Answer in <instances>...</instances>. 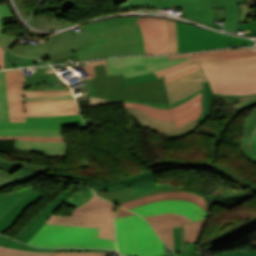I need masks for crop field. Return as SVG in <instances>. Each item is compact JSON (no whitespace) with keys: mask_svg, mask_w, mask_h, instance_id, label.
<instances>
[{"mask_svg":"<svg viewBox=\"0 0 256 256\" xmlns=\"http://www.w3.org/2000/svg\"><path fill=\"white\" fill-rule=\"evenodd\" d=\"M100 41L87 51L52 60L50 64L109 57L122 54H145L144 39L137 17L113 18L79 26Z\"/></svg>","mask_w":256,"mask_h":256,"instance_id":"obj_1","label":"crop field"},{"mask_svg":"<svg viewBox=\"0 0 256 256\" xmlns=\"http://www.w3.org/2000/svg\"><path fill=\"white\" fill-rule=\"evenodd\" d=\"M5 76L10 122H25V116L79 114L74 99L36 102L23 100V97L29 96L68 95L72 94L70 90L23 92L22 84L25 83L22 69L5 71Z\"/></svg>","mask_w":256,"mask_h":256,"instance_id":"obj_2","label":"crop field"},{"mask_svg":"<svg viewBox=\"0 0 256 256\" xmlns=\"http://www.w3.org/2000/svg\"><path fill=\"white\" fill-rule=\"evenodd\" d=\"M119 252L131 256H158L164 254V244L151 226L140 216L119 218L115 221Z\"/></svg>","mask_w":256,"mask_h":256,"instance_id":"obj_3","label":"crop field"},{"mask_svg":"<svg viewBox=\"0 0 256 256\" xmlns=\"http://www.w3.org/2000/svg\"><path fill=\"white\" fill-rule=\"evenodd\" d=\"M99 229L46 225L28 240V244L42 247L75 246L113 248L115 241L96 238Z\"/></svg>","mask_w":256,"mask_h":256,"instance_id":"obj_4","label":"crop field"},{"mask_svg":"<svg viewBox=\"0 0 256 256\" xmlns=\"http://www.w3.org/2000/svg\"><path fill=\"white\" fill-rule=\"evenodd\" d=\"M111 204L93 195L82 207L75 208L71 216L51 215L45 223L100 228L97 237L115 240Z\"/></svg>","mask_w":256,"mask_h":256,"instance_id":"obj_5","label":"crop field"},{"mask_svg":"<svg viewBox=\"0 0 256 256\" xmlns=\"http://www.w3.org/2000/svg\"><path fill=\"white\" fill-rule=\"evenodd\" d=\"M256 51V48H252ZM211 84L212 93L250 94L256 93V66L227 68L212 64H201Z\"/></svg>","mask_w":256,"mask_h":256,"instance_id":"obj_6","label":"crop field"},{"mask_svg":"<svg viewBox=\"0 0 256 256\" xmlns=\"http://www.w3.org/2000/svg\"><path fill=\"white\" fill-rule=\"evenodd\" d=\"M99 40L84 32L73 36L68 31L53 36L44 44L14 47L11 52L41 60H50L71 53L87 50Z\"/></svg>","mask_w":256,"mask_h":256,"instance_id":"obj_7","label":"crop field"},{"mask_svg":"<svg viewBox=\"0 0 256 256\" xmlns=\"http://www.w3.org/2000/svg\"><path fill=\"white\" fill-rule=\"evenodd\" d=\"M176 27L178 53L253 44L247 39L210 32L177 21Z\"/></svg>","mask_w":256,"mask_h":256,"instance_id":"obj_8","label":"crop field"},{"mask_svg":"<svg viewBox=\"0 0 256 256\" xmlns=\"http://www.w3.org/2000/svg\"><path fill=\"white\" fill-rule=\"evenodd\" d=\"M90 64L82 66L79 63L89 76L84 78L88 84L79 86L82 92L79 95H75L76 99L86 100L91 96L109 100L124 86L123 74L107 76L104 60L92 61Z\"/></svg>","mask_w":256,"mask_h":256,"instance_id":"obj_9","label":"crop field"},{"mask_svg":"<svg viewBox=\"0 0 256 256\" xmlns=\"http://www.w3.org/2000/svg\"><path fill=\"white\" fill-rule=\"evenodd\" d=\"M189 58V54L160 57H123L105 60L108 75L124 73L125 78L167 68Z\"/></svg>","mask_w":256,"mask_h":256,"instance_id":"obj_10","label":"crop field"},{"mask_svg":"<svg viewBox=\"0 0 256 256\" xmlns=\"http://www.w3.org/2000/svg\"><path fill=\"white\" fill-rule=\"evenodd\" d=\"M123 99L169 104L163 77L148 82L128 84L105 103V105L124 101Z\"/></svg>","mask_w":256,"mask_h":256,"instance_id":"obj_11","label":"crop field"},{"mask_svg":"<svg viewBox=\"0 0 256 256\" xmlns=\"http://www.w3.org/2000/svg\"><path fill=\"white\" fill-rule=\"evenodd\" d=\"M244 0H174L172 8H184V17L212 25V7L226 8L242 4Z\"/></svg>","mask_w":256,"mask_h":256,"instance_id":"obj_12","label":"crop field"},{"mask_svg":"<svg viewBox=\"0 0 256 256\" xmlns=\"http://www.w3.org/2000/svg\"><path fill=\"white\" fill-rule=\"evenodd\" d=\"M129 210L140 214L143 217L162 214L166 212H174L177 214L185 215L193 221L203 219L208 216V213L200 208L198 205L186 200H165L142 205Z\"/></svg>","mask_w":256,"mask_h":256,"instance_id":"obj_13","label":"crop field"},{"mask_svg":"<svg viewBox=\"0 0 256 256\" xmlns=\"http://www.w3.org/2000/svg\"><path fill=\"white\" fill-rule=\"evenodd\" d=\"M74 181V180H73ZM108 183H96V182H83L76 181L84 184L90 185L94 189L100 191H115L131 186L136 194L148 192L154 189L172 187L170 185H158L153 173L149 170L142 174L136 175L131 178H125L122 180L112 181L109 180ZM99 184V186H97Z\"/></svg>","mask_w":256,"mask_h":256,"instance_id":"obj_14","label":"crop field"},{"mask_svg":"<svg viewBox=\"0 0 256 256\" xmlns=\"http://www.w3.org/2000/svg\"><path fill=\"white\" fill-rule=\"evenodd\" d=\"M145 39L146 54L165 53L166 28L163 18L138 17Z\"/></svg>","mask_w":256,"mask_h":256,"instance_id":"obj_15","label":"crop field"},{"mask_svg":"<svg viewBox=\"0 0 256 256\" xmlns=\"http://www.w3.org/2000/svg\"><path fill=\"white\" fill-rule=\"evenodd\" d=\"M203 81L207 80L202 70H198L166 84L170 102L177 101L202 89Z\"/></svg>","mask_w":256,"mask_h":256,"instance_id":"obj_16","label":"crop field"},{"mask_svg":"<svg viewBox=\"0 0 256 256\" xmlns=\"http://www.w3.org/2000/svg\"><path fill=\"white\" fill-rule=\"evenodd\" d=\"M84 125L79 115L26 117V123H0V127L63 128Z\"/></svg>","mask_w":256,"mask_h":256,"instance_id":"obj_17","label":"crop field"},{"mask_svg":"<svg viewBox=\"0 0 256 256\" xmlns=\"http://www.w3.org/2000/svg\"><path fill=\"white\" fill-rule=\"evenodd\" d=\"M154 227L157 234L167 243V245L173 250V235L172 227L192 222L185 216L177 215L174 213H167L157 216H151L145 218Z\"/></svg>","mask_w":256,"mask_h":256,"instance_id":"obj_18","label":"crop field"},{"mask_svg":"<svg viewBox=\"0 0 256 256\" xmlns=\"http://www.w3.org/2000/svg\"><path fill=\"white\" fill-rule=\"evenodd\" d=\"M125 110L136 116L143 125L147 126L155 132H159L162 134H180L190 130L197 124L192 120L189 123L181 126L180 128L175 129L173 122L161 121L159 119L152 118L134 108H125Z\"/></svg>","mask_w":256,"mask_h":256,"instance_id":"obj_19","label":"crop field"},{"mask_svg":"<svg viewBox=\"0 0 256 256\" xmlns=\"http://www.w3.org/2000/svg\"><path fill=\"white\" fill-rule=\"evenodd\" d=\"M72 193L63 191L51 204L41 211L15 238L17 240L27 242L33 234L39 230L45 220L55 211Z\"/></svg>","mask_w":256,"mask_h":256,"instance_id":"obj_20","label":"crop field"},{"mask_svg":"<svg viewBox=\"0 0 256 256\" xmlns=\"http://www.w3.org/2000/svg\"><path fill=\"white\" fill-rule=\"evenodd\" d=\"M164 199H187V200H190V201L198 204L200 207H202L204 210H206L204 198L195 193H191V192H187V191L163 192L160 194H153V195L145 196L138 200H134V201L127 202L124 204H120V205L129 209V208H132L135 206H139V205L146 204V203H151L154 201L164 200Z\"/></svg>","mask_w":256,"mask_h":256,"instance_id":"obj_21","label":"crop field"},{"mask_svg":"<svg viewBox=\"0 0 256 256\" xmlns=\"http://www.w3.org/2000/svg\"><path fill=\"white\" fill-rule=\"evenodd\" d=\"M201 96L202 93L172 109L176 128L192 119L196 120L201 115Z\"/></svg>","mask_w":256,"mask_h":256,"instance_id":"obj_22","label":"crop field"},{"mask_svg":"<svg viewBox=\"0 0 256 256\" xmlns=\"http://www.w3.org/2000/svg\"><path fill=\"white\" fill-rule=\"evenodd\" d=\"M14 147L24 150L44 151L49 156H66L68 151L67 142H28L16 140Z\"/></svg>","mask_w":256,"mask_h":256,"instance_id":"obj_23","label":"crop field"},{"mask_svg":"<svg viewBox=\"0 0 256 256\" xmlns=\"http://www.w3.org/2000/svg\"><path fill=\"white\" fill-rule=\"evenodd\" d=\"M42 197L43 195L38 194L34 191L26 196L19 204H17L9 213H7L0 220V233L8 230L26 208H28L32 203L40 200Z\"/></svg>","mask_w":256,"mask_h":256,"instance_id":"obj_24","label":"crop field"},{"mask_svg":"<svg viewBox=\"0 0 256 256\" xmlns=\"http://www.w3.org/2000/svg\"><path fill=\"white\" fill-rule=\"evenodd\" d=\"M184 188H186V187L161 189V190H155V191H151L148 193L136 195L130 187V188L115 191V192H100V191L98 192V191H96L95 194H97L113 203L119 204V203L131 201L134 199H138L142 196L149 195L152 193H159V192H163V191H178V190H184Z\"/></svg>","mask_w":256,"mask_h":256,"instance_id":"obj_25","label":"crop field"},{"mask_svg":"<svg viewBox=\"0 0 256 256\" xmlns=\"http://www.w3.org/2000/svg\"><path fill=\"white\" fill-rule=\"evenodd\" d=\"M0 136H50V137H62V129L0 128Z\"/></svg>","mask_w":256,"mask_h":256,"instance_id":"obj_26","label":"crop field"},{"mask_svg":"<svg viewBox=\"0 0 256 256\" xmlns=\"http://www.w3.org/2000/svg\"><path fill=\"white\" fill-rule=\"evenodd\" d=\"M256 125V109L247 117L244 130L243 137L241 141V149L245 157L253 162H256V153L250 149L249 147V139L252 134V131Z\"/></svg>","mask_w":256,"mask_h":256,"instance_id":"obj_27","label":"crop field"},{"mask_svg":"<svg viewBox=\"0 0 256 256\" xmlns=\"http://www.w3.org/2000/svg\"><path fill=\"white\" fill-rule=\"evenodd\" d=\"M172 0H129L120 11L139 9H171Z\"/></svg>","mask_w":256,"mask_h":256,"instance_id":"obj_28","label":"crop field"},{"mask_svg":"<svg viewBox=\"0 0 256 256\" xmlns=\"http://www.w3.org/2000/svg\"><path fill=\"white\" fill-rule=\"evenodd\" d=\"M249 56H256V52L249 49H237V50H227V51H209V52L191 54V58L208 57V58L239 59V58H244Z\"/></svg>","mask_w":256,"mask_h":256,"instance_id":"obj_29","label":"crop field"},{"mask_svg":"<svg viewBox=\"0 0 256 256\" xmlns=\"http://www.w3.org/2000/svg\"><path fill=\"white\" fill-rule=\"evenodd\" d=\"M231 175L235 176L238 180L242 181L243 183H247L246 181H244L243 179L238 177L236 174L233 173ZM247 184L252 186L249 183H247ZM255 190H256V188H255ZM255 224H256V218H254L250 221L245 220V221H243L239 224H236V225L232 226L231 228L227 229L226 233L215 237L214 242L212 243V245L214 246L218 242H224V241H227V240H231V239L239 236L240 234H242V229L250 227V226L255 225Z\"/></svg>","mask_w":256,"mask_h":256,"instance_id":"obj_30","label":"crop field"},{"mask_svg":"<svg viewBox=\"0 0 256 256\" xmlns=\"http://www.w3.org/2000/svg\"><path fill=\"white\" fill-rule=\"evenodd\" d=\"M215 96L223 98L225 102L237 109L239 112L256 105V94L243 96L213 94V97Z\"/></svg>","mask_w":256,"mask_h":256,"instance_id":"obj_31","label":"crop field"},{"mask_svg":"<svg viewBox=\"0 0 256 256\" xmlns=\"http://www.w3.org/2000/svg\"><path fill=\"white\" fill-rule=\"evenodd\" d=\"M34 188L25 189L22 191L10 193L7 195L0 194V219L10 211L18 202H20Z\"/></svg>","mask_w":256,"mask_h":256,"instance_id":"obj_32","label":"crop field"},{"mask_svg":"<svg viewBox=\"0 0 256 256\" xmlns=\"http://www.w3.org/2000/svg\"><path fill=\"white\" fill-rule=\"evenodd\" d=\"M190 62L212 63V64H218V65L227 66V67H244V66L256 65V57H250V58L239 59V60L197 58V59H191Z\"/></svg>","mask_w":256,"mask_h":256,"instance_id":"obj_33","label":"crop field"},{"mask_svg":"<svg viewBox=\"0 0 256 256\" xmlns=\"http://www.w3.org/2000/svg\"><path fill=\"white\" fill-rule=\"evenodd\" d=\"M125 107H135L146 114L161 120L173 121L170 109H158L143 104L125 102Z\"/></svg>","mask_w":256,"mask_h":256,"instance_id":"obj_34","label":"crop field"},{"mask_svg":"<svg viewBox=\"0 0 256 256\" xmlns=\"http://www.w3.org/2000/svg\"><path fill=\"white\" fill-rule=\"evenodd\" d=\"M45 68L46 70L37 71V73L34 76L24 77L26 84L50 82V81H62L50 66Z\"/></svg>","mask_w":256,"mask_h":256,"instance_id":"obj_35","label":"crop field"},{"mask_svg":"<svg viewBox=\"0 0 256 256\" xmlns=\"http://www.w3.org/2000/svg\"><path fill=\"white\" fill-rule=\"evenodd\" d=\"M0 245L18 248V249H22V250H32V251H106V252H108V250L37 249V248H33V247H30V246L22 244V243L15 242L13 240H10V239H8L6 237H2V236H0Z\"/></svg>","mask_w":256,"mask_h":256,"instance_id":"obj_36","label":"crop field"},{"mask_svg":"<svg viewBox=\"0 0 256 256\" xmlns=\"http://www.w3.org/2000/svg\"><path fill=\"white\" fill-rule=\"evenodd\" d=\"M241 10L238 7L225 9V23L223 30L236 33Z\"/></svg>","mask_w":256,"mask_h":256,"instance_id":"obj_37","label":"crop field"},{"mask_svg":"<svg viewBox=\"0 0 256 256\" xmlns=\"http://www.w3.org/2000/svg\"><path fill=\"white\" fill-rule=\"evenodd\" d=\"M0 122H9L4 71H0Z\"/></svg>","mask_w":256,"mask_h":256,"instance_id":"obj_38","label":"crop field"},{"mask_svg":"<svg viewBox=\"0 0 256 256\" xmlns=\"http://www.w3.org/2000/svg\"><path fill=\"white\" fill-rule=\"evenodd\" d=\"M211 88L209 82H204L203 85V96H202V104H203V113L202 115L196 120L198 123H203L210 114L211 108Z\"/></svg>","mask_w":256,"mask_h":256,"instance_id":"obj_39","label":"crop field"},{"mask_svg":"<svg viewBox=\"0 0 256 256\" xmlns=\"http://www.w3.org/2000/svg\"><path fill=\"white\" fill-rule=\"evenodd\" d=\"M207 219L200 220L185 226V243L195 242Z\"/></svg>","mask_w":256,"mask_h":256,"instance_id":"obj_40","label":"crop field"},{"mask_svg":"<svg viewBox=\"0 0 256 256\" xmlns=\"http://www.w3.org/2000/svg\"><path fill=\"white\" fill-rule=\"evenodd\" d=\"M167 28V50L166 53H177L175 21L165 19Z\"/></svg>","mask_w":256,"mask_h":256,"instance_id":"obj_41","label":"crop field"},{"mask_svg":"<svg viewBox=\"0 0 256 256\" xmlns=\"http://www.w3.org/2000/svg\"><path fill=\"white\" fill-rule=\"evenodd\" d=\"M33 65L32 59L19 58L9 51L5 50V68L23 67Z\"/></svg>","mask_w":256,"mask_h":256,"instance_id":"obj_42","label":"crop field"},{"mask_svg":"<svg viewBox=\"0 0 256 256\" xmlns=\"http://www.w3.org/2000/svg\"><path fill=\"white\" fill-rule=\"evenodd\" d=\"M1 254H13V255H53V252H31L21 251L13 248L0 246Z\"/></svg>","mask_w":256,"mask_h":256,"instance_id":"obj_43","label":"crop field"},{"mask_svg":"<svg viewBox=\"0 0 256 256\" xmlns=\"http://www.w3.org/2000/svg\"><path fill=\"white\" fill-rule=\"evenodd\" d=\"M41 174L35 173L29 170L20 169L16 173L12 174L13 178L15 179L16 183H21L30 179H33Z\"/></svg>","mask_w":256,"mask_h":256,"instance_id":"obj_44","label":"crop field"},{"mask_svg":"<svg viewBox=\"0 0 256 256\" xmlns=\"http://www.w3.org/2000/svg\"><path fill=\"white\" fill-rule=\"evenodd\" d=\"M198 69H201L199 65L189 64L186 67H184L183 69L166 76L165 81H166V83H168V82L172 81L175 78H178L182 75L188 74V73L193 72V71L198 70Z\"/></svg>","mask_w":256,"mask_h":256,"instance_id":"obj_45","label":"crop field"},{"mask_svg":"<svg viewBox=\"0 0 256 256\" xmlns=\"http://www.w3.org/2000/svg\"><path fill=\"white\" fill-rule=\"evenodd\" d=\"M4 163L21 166L25 169H29V170L40 172V173H45L46 171L51 169V167H48V166H42V165L31 164V163L12 162V161H5V160H4Z\"/></svg>","mask_w":256,"mask_h":256,"instance_id":"obj_46","label":"crop field"},{"mask_svg":"<svg viewBox=\"0 0 256 256\" xmlns=\"http://www.w3.org/2000/svg\"><path fill=\"white\" fill-rule=\"evenodd\" d=\"M106 252H54V256H106ZM0 256H12L1 255Z\"/></svg>","mask_w":256,"mask_h":256,"instance_id":"obj_47","label":"crop field"},{"mask_svg":"<svg viewBox=\"0 0 256 256\" xmlns=\"http://www.w3.org/2000/svg\"><path fill=\"white\" fill-rule=\"evenodd\" d=\"M214 168L216 170H218L219 172H221L222 174H224L225 176H227L228 178H230L232 181H234V182L244 186L245 188H247L251 192L250 193L251 196L256 194V191L252 187L247 186L246 184H243L240 181H238L236 178L232 177L230 174L233 173V172H231L227 168H225V167H223V166H221V165H219L217 163L215 164Z\"/></svg>","mask_w":256,"mask_h":256,"instance_id":"obj_48","label":"crop field"},{"mask_svg":"<svg viewBox=\"0 0 256 256\" xmlns=\"http://www.w3.org/2000/svg\"><path fill=\"white\" fill-rule=\"evenodd\" d=\"M16 184L12 176L0 169V188Z\"/></svg>","mask_w":256,"mask_h":256,"instance_id":"obj_49","label":"crop field"},{"mask_svg":"<svg viewBox=\"0 0 256 256\" xmlns=\"http://www.w3.org/2000/svg\"><path fill=\"white\" fill-rule=\"evenodd\" d=\"M154 78H157V75L155 74V72L141 75V76L132 77V78H127V79H125V84L147 81V80H151Z\"/></svg>","mask_w":256,"mask_h":256,"instance_id":"obj_50","label":"crop field"},{"mask_svg":"<svg viewBox=\"0 0 256 256\" xmlns=\"http://www.w3.org/2000/svg\"><path fill=\"white\" fill-rule=\"evenodd\" d=\"M17 40L18 38L16 37L2 34L0 36V46L9 50Z\"/></svg>","mask_w":256,"mask_h":256,"instance_id":"obj_51","label":"crop field"},{"mask_svg":"<svg viewBox=\"0 0 256 256\" xmlns=\"http://www.w3.org/2000/svg\"><path fill=\"white\" fill-rule=\"evenodd\" d=\"M188 60H189V59H188ZM188 60L183 61V62H181V63H178V64H176V65H173V66H171V67H169V68H167V69L160 70V71H156V74L158 75V77L167 75V74H169V73H171V72H173V71H176V70H178V69H180V68L186 66L187 63H188Z\"/></svg>","mask_w":256,"mask_h":256,"instance_id":"obj_52","label":"crop field"},{"mask_svg":"<svg viewBox=\"0 0 256 256\" xmlns=\"http://www.w3.org/2000/svg\"><path fill=\"white\" fill-rule=\"evenodd\" d=\"M10 17L12 16L9 10L7 9L6 5H1L0 6V35L3 33L5 29L2 19L10 18Z\"/></svg>","mask_w":256,"mask_h":256,"instance_id":"obj_53","label":"crop field"},{"mask_svg":"<svg viewBox=\"0 0 256 256\" xmlns=\"http://www.w3.org/2000/svg\"><path fill=\"white\" fill-rule=\"evenodd\" d=\"M178 256H201L195 247V243L185 244L184 254H177Z\"/></svg>","mask_w":256,"mask_h":256,"instance_id":"obj_54","label":"crop field"},{"mask_svg":"<svg viewBox=\"0 0 256 256\" xmlns=\"http://www.w3.org/2000/svg\"><path fill=\"white\" fill-rule=\"evenodd\" d=\"M73 95L69 96H49V97H29L24 98L25 101H35V100H56V99H72Z\"/></svg>","mask_w":256,"mask_h":256,"instance_id":"obj_55","label":"crop field"},{"mask_svg":"<svg viewBox=\"0 0 256 256\" xmlns=\"http://www.w3.org/2000/svg\"><path fill=\"white\" fill-rule=\"evenodd\" d=\"M221 132L220 131L213 139L212 143H211V146H210V153H211V157H212V161H214V158H215V154H216V148L218 146V143H219V139L221 137Z\"/></svg>","mask_w":256,"mask_h":256,"instance_id":"obj_56","label":"crop field"},{"mask_svg":"<svg viewBox=\"0 0 256 256\" xmlns=\"http://www.w3.org/2000/svg\"><path fill=\"white\" fill-rule=\"evenodd\" d=\"M173 235H174V252L179 253L180 251V233L179 228L174 229L173 228Z\"/></svg>","mask_w":256,"mask_h":256,"instance_id":"obj_57","label":"crop field"},{"mask_svg":"<svg viewBox=\"0 0 256 256\" xmlns=\"http://www.w3.org/2000/svg\"><path fill=\"white\" fill-rule=\"evenodd\" d=\"M256 28V20L238 26L237 31H247Z\"/></svg>","mask_w":256,"mask_h":256,"instance_id":"obj_58","label":"crop field"},{"mask_svg":"<svg viewBox=\"0 0 256 256\" xmlns=\"http://www.w3.org/2000/svg\"><path fill=\"white\" fill-rule=\"evenodd\" d=\"M3 159L0 158V168L4 169L5 171L9 172L10 174L20 169V167H16L13 165H7L2 163Z\"/></svg>","mask_w":256,"mask_h":256,"instance_id":"obj_59","label":"crop field"},{"mask_svg":"<svg viewBox=\"0 0 256 256\" xmlns=\"http://www.w3.org/2000/svg\"><path fill=\"white\" fill-rule=\"evenodd\" d=\"M217 256H256V251L240 252V253H233V254H227V255H217Z\"/></svg>","mask_w":256,"mask_h":256,"instance_id":"obj_60","label":"crop field"},{"mask_svg":"<svg viewBox=\"0 0 256 256\" xmlns=\"http://www.w3.org/2000/svg\"><path fill=\"white\" fill-rule=\"evenodd\" d=\"M128 215H133V213L128 212L120 207L116 208V218L124 217V216H128Z\"/></svg>","mask_w":256,"mask_h":256,"instance_id":"obj_61","label":"crop field"},{"mask_svg":"<svg viewBox=\"0 0 256 256\" xmlns=\"http://www.w3.org/2000/svg\"><path fill=\"white\" fill-rule=\"evenodd\" d=\"M105 102H106V100H103V99L91 98L89 106L90 107L100 106V105H103Z\"/></svg>","mask_w":256,"mask_h":256,"instance_id":"obj_62","label":"crop field"},{"mask_svg":"<svg viewBox=\"0 0 256 256\" xmlns=\"http://www.w3.org/2000/svg\"><path fill=\"white\" fill-rule=\"evenodd\" d=\"M250 147L256 152V127L253 131L252 137L250 139Z\"/></svg>","mask_w":256,"mask_h":256,"instance_id":"obj_63","label":"crop field"},{"mask_svg":"<svg viewBox=\"0 0 256 256\" xmlns=\"http://www.w3.org/2000/svg\"><path fill=\"white\" fill-rule=\"evenodd\" d=\"M200 92H202V90H200L199 92H197V93H195V94H192V95H190V96H188V97H186V98H184V99H182V100H179V101H177V102L172 103L171 106L174 107V106H176V105H178V104H180V103H182V102H184V101H186V100H188V99H190V98L196 96V95L199 94Z\"/></svg>","mask_w":256,"mask_h":256,"instance_id":"obj_64","label":"crop field"},{"mask_svg":"<svg viewBox=\"0 0 256 256\" xmlns=\"http://www.w3.org/2000/svg\"><path fill=\"white\" fill-rule=\"evenodd\" d=\"M128 101V100H125ZM129 102H137V101H129ZM137 103H143V104H147L150 106H155V107H159V108H170L169 105H164V104H149V103H144V102H137Z\"/></svg>","mask_w":256,"mask_h":256,"instance_id":"obj_65","label":"crop field"},{"mask_svg":"<svg viewBox=\"0 0 256 256\" xmlns=\"http://www.w3.org/2000/svg\"><path fill=\"white\" fill-rule=\"evenodd\" d=\"M4 68V49L0 47V69Z\"/></svg>","mask_w":256,"mask_h":256,"instance_id":"obj_66","label":"crop field"},{"mask_svg":"<svg viewBox=\"0 0 256 256\" xmlns=\"http://www.w3.org/2000/svg\"><path fill=\"white\" fill-rule=\"evenodd\" d=\"M180 232H181V252L183 253V248H184V226L180 228Z\"/></svg>","mask_w":256,"mask_h":256,"instance_id":"obj_67","label":"crop field"},{"mask_svg":"<svg viewBox=\"0 0 256 256\" xmlns=\"http://www.w3.org/2000/svg\"><path fill=\"white\" fill-rule=\"evenodd\" d=\"M196 125H197V124H196ZM199 125H200V124H198V125L195 126L193 129H191L190 131H188V132H186V133H184V134H181V135H168L167 138H171V137H181V136H183V135L189 134V133L193 132Z\"/></svg>","mask_w":256,"mask_h":256,"instance_id":"obj_68","label":"crop field"},{"mask_svg":"<svg viewBox=\"0 0 256 256\" xmlns=\"http://www.w3.org/2000/svg\"><path fill=\"white\" fill-rule=\"evenodd\" d=\"M111 1L115 4H119V3H122V2L127 1V0H111Z\"/></svg>","mask_w":256,"mask_h":256,"instance_id":"obj_69","label":"crop field"},{"mask_svg":"<svg viewBox=\"0 0 256 256\" xmlns=\"http://www.w3.org/2000/svg\"><path fill=\"white\" fill-rule=\"evenodd\" d=\"M245 34L254 35V34H256V29H255V30H252L251 32H247V33H245Z\"/></svg>","mask_w":256,"mask_h":256,"instance_id":"obj_70","label":"crop field"},{"mask_svg":"<svg viewBox=\"0 0 256 256\" xmlns=\"http://www.w3.org/2000/svg\"><path fill=\"white\" fill-rule=\"evenodd\" d=\"M0 139H14V137H0Z\"/></svg>","mask_w":256,"mask_h":256,"instance_id":"obj_71","label":"crop field"},{"mask_svg":"<svg viewBox=\"0 0 256 256\" xmlns=\"http://www.w3.org/2000/svg\"><path fill=\"white\" fill-rule=\"evenodd\" d=\"M0 1H2V0H0Z\"/></svg>","mask_w":256,"mask_h":256,"instance_id":"obj_72","label":"crop field"}]
</instances>
